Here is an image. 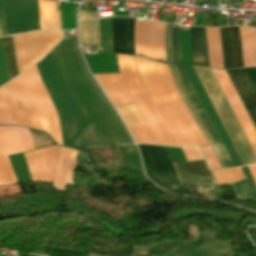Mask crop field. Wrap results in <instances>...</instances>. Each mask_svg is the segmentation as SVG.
I'll return each mask as SVG.
<instances>
[{
    "label": "crop field",
    "mask_w": 256,
    "mask_h": 256,
    "mask_svg": "<svg viewBox=\"0 0 256 256\" xmlns=\"http://www.w3.org/2000/svg\"><path fill=\"white\" fill-rule=\"evenodd\" d=\"M256 155V131L225 71L211 69Z\"/></svg>",
    "instance_id": "28ad6ade"
},
{
    "label": "crop field",
    "mask_w": 256,
    "mask_h": 256,
    "mask_svg": "<svg viewBox=\"0 0 256 256\" xmlns=\"http://www.w3.org/2000/svg\"><path fill=\"white\" fill-rule=\"evenodd\" d=\"M226 72L256 128V91L245 69Z\"/></svg>",
    "instance_id": "22f410ed"
},
{
    "label": "crop field",
    "mask_w": 256,
    "mask_h": 256,
    "mask_svg": "<svg viewBox=\"0 0 256 256\" xmlns=\"http://www.w3.org/2000/svg\"><path fill=\"white\" fill-rule=\"evenodd\" d=\"M202 154L204 155L210 169L220 168L210 146L200 147Z\"/></svg>",
    "instance_id": "5866460e"
},
{
    "label": "crop field",
    "mask_w": 256,
    "mask_h": 256,
    "mask_svg": "<svg viewBox=\"0 0 256 256\" xmlns=\"http://www.w3.org/2000/svg\"><path fill=\"white\" fill-rule=\"evenodd\" d=\"M89 256H104V255L90 253ZM131 256H152V255L133 252Z\"/></svg>",
    "instance_id": "c21b1889"
},
{
    "label": "crop field",
    "mask_w": 256,
    "mask_h": 256,
    "mask_svg": "<svg viewBox=\"0 0 256 256\" xmlns=\"http://www.w3.org/2000/svg\"><path fill=\"white\" fill-rule=\"evenodd\" d=\"M168 65V68L170 70V73H171V76H172V79L175 83V86L181 96V98L183 99L184 103L186 104V106L188 107L189 111L191 112V114L193 115L194 119L196 120L197 124L199 125L200 129L202 130L203 134L205 135L206 139L208 140L209 144L211 145L220 165L222 168H226L211 137L209 136L207 130L205 129L203 123L201 122L200 118L198 117L196 111L194 110L193 106L191 105L187 95L185 94L180 82H179V79H178V76L176 74V71H175V68H174V65L173 64H167Z\"/></svg>",
    "instance_id": "dafd665d"
},
{
    "label": "crop field",
    "mask_w": 256,
    "mask_h": 256,
    "mask_svg": "<svg viewBox=\"0 0 256 256\" xmlns=\"http://www.w3.org/2000/svg\"><path fill=\"white\" fill-rule=\"evenodd\" d=\"M134 22L131 18H112L114 52L133 54Z\"/></svg>",
    "instance_id": "5142ce71"
},
{
    "label": "crop field",
    "mask_w": 256,
    "mask_h": 256,
    "mask_svg": "<svg viewBox=\"0 0 256 256\" xmlns=\"http://www.w3.org/2000/svg\"><path fill=\"white\" fill-rule=\"evenodd\" d=\"M37 112L43 131L62 145L57 113L48 97L36 66L20 75Z\"/></svg>",
    "instance_id": "e52e79f7"
},
{
    "label": "crop field",
    "mask_w": 256,
    "mask_h": 256,
    "mask_svg": "<svg viewBox=\"0 0 256 256\" xmlns=\"http://www.w3.org/2000/svg\"><path fill=\"white\" fill-rule=\"evenodd\" d=\"M165 23L154 21L153 25V52L154 59L166 61L164 51Z\"/></svg>",
    "instance_id": "730fd06b"
},
{
    "label": "crop field",
    "mask_w": 256,
    "mask_h": 256,
    "mask_svg": "<svg viewBox=\"0 0 256 256\" xmlns=\"http://www.w3.org/2000/svg\"><path fill=\"white\" fill-rule=\"evenodd\" d=\"M152 25L153 22L150 21L136 20L134 31L135 54L144 55L150 59H153Z\"/></svg>",
    "instance_id": "bc2a9ffb"
},
{
    "label": "crop field",
    "mask_w": 256,
    "mask_h": 256,
    "mask_svg": "<svg viewBox=\"0 0 256 256\" xmlns=\"http://www.w3.org/2000/svg\"><path fill=\"white\" fill-rule=\"evenodd\" d=\"M175 65V68H176V71L178 73V76H179V79H180V82L186 92V94L188 95L192 105L194 106L195 110L197 111L199 117L201 118L202 122L204 123L206 129L208 130L210 136L212 137L225 165L227 168H231V167H234L222 142L220 141L216 131L214 130L184 68L182 65H178V64H174Z\"/></svg>",
    "instance_id": "d1516ede"
},
{
    "label": "crop field",
    "mask_w": 256,
    "mask_h": 256,
    "mask_svg": "<svg viewBox=\"0 0 256 256\" xmlns=\"http://www.w3.org/2000/svg\"><path fill=\"white\" fill-rule=\"evenodd\" d=\"M211 103L222 121L244 165L256 164V157L250 148L233 112L231 111L210 68L193 66Z\"/></svg>",
    "instance_id": "412701ff"
},
{
    "label": "crop field",
    "mask_w": 256,
    "mask_h": 256,
    "mask_svg": "<svg viewBox=\"0 0 256 256\" xmlns=\"http://www.w3.org/2000/svg\"><path fill=\"white\" fill-rule=\"evenodd\" d=\"M192 64L209 66L204 28L190 27Z\"/></svg>",
    "instance_id": "92a150f3"
},
{
    "label": "crop field",
    "mask_w": 256,
    "mask_h": 256,
    "mask_svg": "<svg viewBox=\"0 0 256 256\" xmlns=\"http://www.w3.org/2000/svg\"><path fill=\"white\" fill-rule=\"evenodd\" d=\"M157 72L159 74L160 80L162 82L163 88L172 103L174 109L180 116L181 120L193 136L194 140L198 144L207 145L208 142L205 139L204 135L202 134L201 130L199 129L198 125L196 124L195 120L191 116L190 112L188 111L187 107L183 103L182 99L180 98L174 83L171 79L170 73L168 71L167 65L163 63L154 62Z\"/></svg>",
    "instance_id": "3316defc"
},
{
    "label": "crop field",
    "mask_w": 256,
    "mask_h": 256,
    "mask_svg": "<svg viewBox=\"0 0 256 256\" xmlns=\"http://www.w3.org/2000/svg\"><path fill=\"white\" fill-rule=\"evenodd\" d=\"M97 17H98L97 12L87 13V12L80 10V20L89 19V18H97Z\"/></svg>",
    "instance_id": "b80d0937"
},
{
    "label": "crop field",
    "mask_w": 256,
    "mask_h": 256,
    "mask_svg": "<svg viewBox=\"0 0 256 256\" xmlns=\"http://www.w3.org/2000/svg\"><path fill=\"white\" fill-rule=\"evenodd\" d=\"M172 165L181 184L215 183L204 160Z\"/></svg>",
    "instance_id": "d9b57169"
},
{
    "label": "crop field",
    "mask_w": 256,
    "mask_h": 256,
    "mask_svg": "<svg viewBox=\"0 0 256 256\" xmlns=\"http://www.w3.org/2000/svg\"><path fill=\"white\" fill-rule=\"evenodd\" d=\"M230 186L238 198L240 199L246 198L239 181L230 184Z\"/></svg>",
    "instance_id": "e1f06a70"
},
{
    "label": "crop field",
    "mask_w": 256,
    "mask_h": 256,
    "mask_svg": "<svg viewBox=\"0 0 256 256\" xmlns=\"http://www.w3.org/2000/svg\"><path fill=\"white\" fill-rule=\"evenodd\" d=\"M0 131L8 155L34 150L27 128L8 126Z\"/></svg>",
    "instance_id": "733c2abd"
},
{
    "label": "crop field",
    "mask_w": 256,
    "mask_h": 256,
    "mask_svg": "<svg viewBox=\"0 0 256 256\" xmlns=\"http://www.w3.org/2000/svg\"><path fill=\"white\" fill-rule=\"evenodd\" d=\"M256 185V166L248 167Z\"/></svg>",
    "instance_id": "c035e120"
},
{
    "label": "crop field",
    "mask_w": 256,
    "mask_h": 256,
    "mask_svg": "<svg viewBox=\"0 0 256 256\" xmlns=\"http://www.w3.org/2000/svg\"><path fill=\"white\" fill-rule=\"evenodd\" d=\"M80 44L100 46L98 19L80 22Z\"/></svg>",
    "instance_id": "a9b5d70f"
},
{
    "label": "crop field",
    "mask_w": 256,
    "mask_h": 256,
    "mask_svg": "<svg viewBox=\"0 0 256 256\" xmlns=\"http://www.w3.org/2000/svg\"><path fill=\"white\" fill-rule=\"evenodd\" d=\"M30 130V129H29ZM31 138L33 141L34 149L47 147L54 145L55 143L50 139V137L42 132L30 130Z\"/></svg>",
    "instance_id": "1d83c4d3"
},
{
    "label": "crop field",
    "mask_w": 256,
    "mask_h": 256,
    "mask_svg": "<svg viewBox=\"0 0 256 256\" xmlns=\"http://www.w3.org/2000/svg\"><path fill=\"white\" fill-rule=\"evenodd\" d=\"M255 89H256V68H249L246 69Z\"/></svg>",
    "instance_id": "0bd39190"
},
{
    "label": "crop field",
    "mask_w": 256,
    "mask_h": 256,
    "mask_svg": "<svg viewBox=\"0 0 256 256\" xmlns=\"http://www.w3.org/2000/svg\"><path fill=\"white\" fill-rule=\"evenodd\" d=\"M210 26L217 27L216 15L211 16V24Z\"/></svg>",
    "instance_id": "03da06ac"
},
{
    "label": "crop field",
    "mask_w": 256,
    "mask_h": 256,
    "mask_svg": "<svg viewBox=\"0 0 256 256\" xmlns=\"http://www.w3.org/2000/svg\"><path fill=\"white\" fill-rule=\"evenodd\" d=\"M24 158L33 182H44L36 159L35 152L24 153Z\"/></svg>",
    "instance_id": "bd1437ed"
},
{
    "label": "crop field",
    "mask_w": 256,
    "mask_h": 256,
    "mask_svg": "<svg viewBox=\"0 0 256 256\" xmlns=\"http://www.w3.org/2000/svg\"><path fill=\"white\" fill-rule=\"evenodd\" d=\"M17 183L0 135V185Z\"/></svg>",
    "instance_id": "4177f3b9"
},
{
    "label": "crop field",
    "mask_w": 256,
    "mask_h": 256,
    "mask_svg": "<svg viewBox=\"0 0 256 256\" xmlns=\"http://www.w3.org/2000/svg\"><path fill=\"white\" fill-rule=\"evenodd\" d=\"M36 66L57 110L61 124L63 145L72 148L89 147L90 145L83 130L84 127L57 74L51 53Z\"/></svg>",
    "instance_id": "34b2d1b8"
},
{
    "label": "crop field",
    "mask_w": 256,
    "mask_h": 256,
    "mask_svg": "<svg viewBox=\"0 0 256 256\" xmlns=\"http://www.w3.org/2000/svg\"><path fill=\"white\" fill-rule=\"evenodd\" d=\"M224 68L244 67L238 27L220 29Z\"/></svg>",
    "instance_id": "cbeb9de0"
},
{
    "label": "crop field",
    "mask_w": 256,
    "mask_h": 256,
    "mask_svg": "<svg viewBox=\"0 0 256 256\" xmlns=\"http://www.w3.org/2000/svg\"><path fill=\"white\" fill-rule=\"evenodd\" d=\"M144 163L145 173L150 179L164 187L180 185L178 178L167 157L165 148L154 145H138Z\"/></svg>",
    "instance_id": "5a996713"
},
{
    "label": "crop field",
    "mask_w": 256,
    "mask_h": 256,
    "mask_svg": "<svg viewBox=\"0 0 256 256\" xmlns=\"http://www.w3.org/2000/svg\"><path fill=\"white\" fill-rule=\"evenodd\" d=\"M171 28L172 24L166 23L165 27V51L167 62H173L172 52H171Z\"/></svg>",
    "instance_id": "028f5c9d"
},
{
    "label": "crop field",
    "mask_w": 256,
    "mask_h": 256,
    "mask_svg": "<svg viewBox=\"0 0 256 256\" xmlns=\"http://www.w3.org/2000/svg\"><path fill=\"white\" fill-rule=\"evenodd\" d=\"M172 52L174 62L182 63L179 29L172 30Z\"/></svg>",
    "instance_id": "120bbe31"
},
{
    "label": "crop field",
    "mask_w": 256,
    "mask_h": 256,
    "mask_svg": "<svg viewBox=\"0 0 256 256\" xmlns=\"http://www.w3.org/2000/svg\"><path fill=\"white\" fill-rule=\"evenodd\" d=\"M99 85L105 91L113 106L131 103L120 74L94 75Z\"/></svg>",
    "instance_id": "4a817a6b"
},
{
    "label": "crop field",
    "mask_w": 256,
    "mask_h": 256,
    "mask_svg": "<svg viewBox=\"0 0 256 256\" xmlns=\"http://www.w3.org/2000/svg\"><path fill=\"white\" fill-rule=\"evenodd\" d=\"M38 162L45 182H53L55 187L58 146L36 150Z\"/></svg>",
    "instance_id": "214f88e0"
},
{
    "label": "crop field",
    "mask_w": 256,
    "mask_h": 256,
    "mask_svg": "<svg viewBox=\"0 0 256 256\" xmlns=\"http://www.w3.org/2000/svg\"><path fill=\"white\" fill-rule=\"evenodd\" d=\"M117 62L124 85L136 108L148 124L159 145L180 147L164 119L150 100L144 89L135 58L128 55H117ZM147 124L128 127L136 143L158 145Z\"/></svg>",
    "instance_id": "ac0d7876"
},
{
    "label": "crop field",
    "mask_w": 256,
    "mask_h": 256,
    "mask_svg": "<svg viewBox=\"0 0 256 256\" xmlns=\"http://www.w3.org/2000/svg\"><path fill=\"white\" fill-rule=\"evenodd\" d=\"M19 73L39 62L61 39V31H41L13 36Z\"/></svg>",
    "instance_id": "d8731c3e"
},
{
    "label": "crop field",
    "mask_w": 256,
    "mask_h": 256,
    "mask_svg": "<svg viewBox=\"0 0 256 256\" xmlns=\"http://www.w3.org/2000/svg\"><path fill=\"white\" fill-rule=\"evenodd\" d=\"M0 125H21L42 131L20 77L0 88Z\"/></svg>",
    "instance_id": "dd49c442"
},
{
    "label": "crop field",
    "mask_w": 256,
    "mask_h": 256,
    "mask_svg": "<svg viewBox=\"0 0 256 256\" xmlns=\"http://www.w3.org/2000/svg\"><path fill=\"white\" fill-rule=\"evenodd\" d=\"M210 66L223 68L222 51L218 30L206 29Z\"/></svg>",
    "instance_id": "00972430"
},
{
    "label": "crop field",
    "mask_w": 256,
    "mask_h": 256,
    "mask_svg": "<svg viewBox=\"0 0 256 256\" xmlns=\"http://www.w3.org/2000/svg\"><path fill=\"white\" fill-rule=\"evenodd\" d=\"M4 53L9 73V78L12 79L15 76L19 75L16 66V58H15V51L13 45L12 36L2 38Z\"/></svg>",
    "instance_id": "eef30255"
},
{
    "label": "crop field",
    "mask_w": 256,
    "mask_h": 256,
    "mask_svg": "<svg viewBox=\"0 0 256 256\" xmlns=\"http://www.w3.org/2000/svg\"><path fill=\"white\" fill-rule=\"evenodd\" d=\"M77 151L69 149L66 184H73Z\"/></svg>",
    "instance_id": "d32e631a"
},
{
    "label": "crop field",
    "mask_w": 256,
    "mask_h": 256,
    "mask_svg": "<svg viewBox=\"0 0 256 256\" xmlns=\"http://www.w3.org/2000/svg\"><path fill=\"white\" fill-rule=\"evenodd\" d=\"M68 149L59 147L56 190H64Z\"/></svg>",
    "instance_id": "d3111659"
},
{
    "label": "crop field",
    "mask_w": 256,
    "mask_h": 256,
    "mask_svg": "<svg viewBox=\"0 0 256 256\" xmlns=\"http://www.w3.org/2000/svg\"><path fill=\"white\" fill-rule=\"evenodd\" d=\"M116 109L126 126L145 123L134 104L118 106Z\"/></svg>",
    "instance_id": "ae1a2a85"
},
{
    "label": "crop field",
    "mask_w": 256,
    "mask_h": 256,
    "mask_svg": "<svg viewBox=\"0 0 256 256\" xmlns=\"http://www.w3.org/2000/svg\"><path fill=\"white\" fill-rule=\"evenodd\" d=\"M51 53L58 74L86 129L90 145L131 144L117 114L89 75L78 51L77 40L65 37Z\"/></svg>",
    "instance_id": "8a807250"
},
{
    "label": "crop field",
    "mask_w": 256,
    "mask_h": 256,
    "mask_svg": "<svg viewBox=\"0 0 256 256\" xmlns=\"http://www.w3.org/2000/svg\"><path fill=\"white\" fill-rule=\"evenodd\" d=\"M136 61L141 80L151 100L165 119L181 147L197 146L190 133L170 104L160 83L154 63L140 57H136Z\"/></svg>",
    "instance_id": "f4fd0767"
},
{
    "label": "crop field",
    "mask_w": 256,
    "mask_h": 256,
    "mask_svg": "<svg viewBox=\"0 0 256 256\" xmlns=\"http://www.w3.org/2000/svg\"><path fill=\"white\" fill-rule=\"evenodd\" d=\"M212 174L216 179L218 185L232 183L234 181H238L245 178L243 177V174L240 168L223 170V171H215V172H212Z\"/></svg>",
    "instance_id": "750c4746"
}]
</instances>
